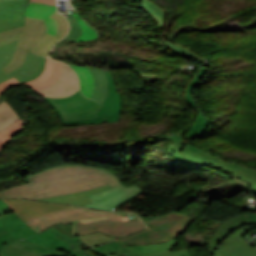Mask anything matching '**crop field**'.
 I'll list each match as a JSON object with an SVG mask.
<instances>
[{
	"mask_svg": "<svg viewBox=\"0 0 256 256\" xmlns=\"http://www.w3.org/2000/svg\"><path fill=\"white\" fill-rule=\"evenodd\" d=\"M82 241L88 246H96L100 245L102 243H105L109 240H112L110 237L100 234V233H94V234H86V235H81L79 236Z\"/></svg>",
	"mask_w": 256,
	"mask_h": 256,
	"instance_id": "32",
	"label": "crop field"
},
{
	"mask_svg": "<svg viewBox=\"0 0 256 256\" xmlns=\"http://www.w3.org/2000/svg\"><path fill=\"white\" fill-rule=\"evenodd\" d=\"M106 72V71H105ZM108 90L103 107L96 113L99 117L84 121H62L63 125H86L117 122L121 114V98L117 93L114 80L108 72Z\"/></svg>",
	"mask_w": 256,
	"mask_h": 256,
	"instance_id": "9",
	"label": "crop field"
},
{
	"mask_svg": "<svg viewBox=\"0 0 256 256\" xmlns=\"http://www.w3.org/2000/svg\"><path fill=\"white\" fill-rule=\"evenodd\" d=\"M141 192L143 191H141L136 185L127 188L120 184L107 191L90 195L93 203L83 206L111 210Z\"/></svg>",
	"mask_w": 256,
	"mask_h": 256,
	"instance_id": "10",
	"label": "crop field"
},
{
	"mask_svg": "<svg viewBox=\"0 0 256 256\" xmlns=\"http://www.w3.org/2000/svg\"><path fill=\"white\" fill-rule=\"evenodd\" d=\"M45 20L28 18L25 19L24 30L21 34L18 46L11 62L2 70L9 73L24 63L28 51L32 52L46 34Z\"/></svg>",
	"mask_w": 256,
	"mask_h": 256,
	"instance_id": "7",
	"label": "crop field"
},
{
	"mask_svg": "<svg viewBox=\"0 0 256 256\" xmlns=\"http://www.w3.org/2000/svg\"><path fill=\"white\" fill-rule=\"evenodd\" d=\"M184 132H176L177 135L169 136L168 141L170 144V152L176 156V158L181 159L180 149L186 143L185 139H183ZM185 161V160H182ZM186 162V161H185Z\"/></svg>",
	"mask_w": 256,
	"mask_h": 256,
	"instance_id": "30",
	"label": "crop field"
},
{
	"mask_svg": "<svg viewBox=\"0 0 256 256\" xmlns=\"http://www.w3.org/2000/svg\"><path fill=\"white\" fill-rule=\"evenodd\" d=\"M91 250L99 255L104 256H108L110 254L118 256H133L115 241L100 247L91 248Z\"/></svg>",
	"mask_w": 256,
	"mask_h": 256,
	"instance_id": "26",
	"label": "crop field"
},
{
	"mask_svg": "<svg viewBox=\"0 0 256 256\" xmlns=\"http://www.w3.org/2000/svg\"><path fill=\"white\" fill-rule=\"evenodd\" d=\"M207 71V68L203 67L198 71L195 76L192 78V80L187 85L186 89V99L188 102L197 110L198 112V118L196 119L195 123L193 124V127L191 128L188 139L190 138H196L200 136L204 130H206L207 120L203 117L201 111L198 109L197 105L193 101L192 97L189 95L191 93V90L196 84L198 83V79L202 77Z\"/></svg>",
	"mask_w": 256,
	"mask_h": 256,
	"instance_id": "19",
	"label": "crop field"
},
{
	"mask_svg": "<svg viewBox=\"0 0 256 256\" xmlns=\"http://www.w3.org/2000/svg\"><path fill=\"white\" fill-rule=\"evenodd\" d=\"M234 180L236 181V184L240 185L243 189H245L246 191L250 192V184H248L247 182H241L237 179L234 178Z\"/></svg>",
	"mask_w": 256,
	"mask_h": 256,
	"instance_id": "39",
	"label": "crop field"
},
{
	"mask_svg": "<svg viewBox=\"0 0 256 256\" xmlns=\"http://www.w3.org/2000/svg\"><path fill=\"white\" fill-rule=\"evenodd\" d=\"M25 17L0 20V32L22 27Z\"/></svg>",
	"mask_w": 256,
	"mask_h": 256,
	"instance_id": "34",
	"label": "crop field"
},
{
	"mask_svg": "<svg viewBox=\"0 0 256 256\" xmlns=\"http://www.w3.org/2000/svg\"><path fill=\"white\" fill-rule=\"evenodd\" d=\"M35 1H40V2H44V3H49V4L55 5V0H35Z\"/></svg>",
	"mask_w": 256,
	"mask_h": 256,
	"instance_id": "42",
	"label": "crop field"
},
{
	"mask_svg": "<svg viewBox=\"0 0 256 256\" xmlns=\"http://www.w3.org/2000/svg\"><path fill=\"white\" fill-rule=\"evenodd\" d=\"M176 238L177 236L162 244L132 245L125 247L136 256H184L189 253L188 250L178 252L171 251L173 245L177 244Z\"/></svg>",
	"mask_w": 256,
	"mask_h": 256,
	"instance_id": "16",
	"label": "crop field"
},
{
	"mask_svg": "<svg viewBox=\"0 0 256 256\" xmlns=\"http://www.w3.org/2000/svg\"><path fill=\"white\" fill-rule=\"evenodd\" d=\"M64 222H72L71 235L100 232L113 239L145 228L140 218L134 214L96 211L79 206L25 220L31 229L39 233L54 224Z\"/></svg>",
	"mask_w": 256,
	"mask_h": 256,
	"instance_id": "2",
	"label": "crop field"
},
{
	"mask_svg": "<svg viewBox=\"0 0 256 256\" xmlns=\"http://www.w3.org/2000/svg\"><path fill=\"white\" fill-rule=\"evenodd\" d=\"M23 220L45 215L54 211L71 207L65 204H47L24 199L4 200Z\"/></svg>",
	"mask_w": 256,
	"mask_h": 256,
	"instance_id": "13",
	"label": "crop field"
},
{
	"mask_svg": "<svg viewBox=\"0 0 256 256\" xmlns=\"http://www.w3.org/2000/svg\"><path fill=\"white\" fill-rule=\"evenodd\" d=\"M162 40H163L165 46L170 48L173 52H175L177 54H180V55H184V56H187L189 54V55H192L193 58H196L201 63L203 62V59L199 55L185 49L184 47H182L178 44L168 42V41L165 40V38H162Z\"/></svg>",
	"mask_w": 256,
	"mask_h": 256,
	"instance_id": "33",
	"label": "crop field"
},
{
	"mask_svg": "<svg viewBox=\"0 0 256 256\" xmlns=\"http://www.w3.org/2000/svg\"><path fill=\"white\" fill-rule=\"evenodd\" d=\"M44 63H45V57L40 56V63H39L38 68L35 70V72L33 74H31L30 76H28L22 80H19V82L20 83L26 82V81H30V80H33V79L39 77L44 68Z\"/></svg>",
	"mask_w": 256,
	"mask_h": 256,
	"instance_id": "36",
	"label": "crop field"
},
{
	"mask_svg": "<svg viewBox=\"0 0 256 256\" xmlns=\"http://www.w3.org/2000/svg\"><path fill=\"white\" fill-rule=\"evenodd\" d=\"M62 120H83L97 117L101 104L82 96L80 90L65 98H45Z\"/></svg>",
	"mask_w": 256,
	"mask_h": 256,
	"instance_id": "6",
	"label": "crop field"
},
{
	"mask_svg": "<svg viewBox=\"0 0 256 256\" xmlns=\"http://www.w3.org/2000/svg\"><path fill=\"white\" fill-rule=\"evenodd\" d=\"M82 28V35L79 37L78 41L93 40L100 37V33L95 28L91 27L84 19L79 21Z\"/></svg>",
	"mask_w": 256,
	"mask_h": 256,
	"instance_id": "31",
	"label": "crop field"
},
{
	"mask_svg": "<svg viewBox=\"0 0 256 256\" xmlns=\"http://www.w3.org/2000/svg\"><path fill=\"white\" fill-rule=\"evenodd\" d=\"M253 229L254 226L244 227L230 235L213 256H256V249L242 238Z\"/></svg>",
	"mask_w": 256,
	"mask_h": 256,
	"instance_id": "14",
	"label": "crop field"
},
{
	"mask_svg": "<svg viewBox=\"0 0 256 256\" xmlns=\"http://www.w3.org/2000/svg\"><path fill=\"white\" fill-rule=\"evenodd\" d=\"M18 40L10 42V43L0 47V83L11 78V77L16 78L17 80L24 78V77L30 75L31 73H33L34 70L36 69V67L38 66L39 56L29 52L27 59L21 68L15 70L9 74H7L1 70L11 60V58L14 54L15 48L17 46Z\"/></svg>",
	"mask_w": 256,
	"mask_h": 256,
	"instance_id": "12",
	"label": "crop field"
},
{
	"mask_svg": "<svg viewBox=\"0 0 256 256\" xmlns=\"http://www.w3.org/2000/svg\"><path fill=\"white\" fill-rule=\"evenodd\" d=\"M36 234L13 210L0 211V253L9 238L26 239Z\"/></svg>",
	"mask_w": 256,
	"mask_h": 256,
	"instance_id": "11",
	"label": "crop field"
},
{
	"mask_svg": "<svg viewBox=\"0 0 256 256\" xmlns=\"http://www.w3.org/2000/svg\"><path fill=\"white\" fill-rule=\"evenodd\" d=\"M186 256H191L190 254L186 255Z\"/></svg>",
	"mask_w": 256,
	"mask_h": 256,
	"instance_id": "44",
	"label": "crop field"
},
{
	"mask_svg": "<svg viewBox=\"0 0 256 256\" xmlns=\"http://www.w3.org/2000/svg\"><path fill=\"white\" fill-rule=\"evenodd\" d=\"M79 75L80 77V85L82 93L91 97L93 91V77L90 74V71L87 67L70 65Z\"/></svg>",
	"mask_w": 256,
	"mask_h": 256,
	"instance_id": "24",
	"label": "crop field"
},
{
	"mask_svg": "<svg viewBox=\"0 0 256 256\" xmlns=\"http://www.w3.org/2000/svg\"><path fill=\"white\" fill-rule=\"evenodd\" d=\"M110 188L109 185L102 186L93 190L89 191H84L80 193H73V194H67L59 197H54V198H48V199H43L41 201H46V202H61V203H68V204H76V205H82V204H87L91 203V200L88 195L103 191Z\"/></svg>",
	"mask_w": 256,
	"mask_h": 256,
	"instance_id": "21",
	"label": "crop field"
},
{
	"mask_svg": "<svg viewBox=\"0 0 256 256\" xmlns=\"http://www.w3.org/2000/svg\"><path fill=\"white\" fill-rule=\"evenodd\" d=\"M245 224H256V213L231 218L225 221L208 241L210 253L229 232Z\"/></svg>",
	"mask_w": 256,
	"mask_h": 256,
	"instance_id": "17",
	"label": "crop field"
},
{
	"mask_svg": "<svg viewBox=\"0 0 256 256\" xmlns=\"http://www.w3.org/2000/svg\"><path fill=\"white\" fill-rule=\"evenodd\" d=\"M9 206L2 200H0V210L8 209Z\"/></svg>",
	"mask_w": 256,
	"mask_h": 256,
	"instance_id": "41",
	"label": "crop field"
},
{
	"mask_svg": "<svg viewBox=\"0 0 256 256\" xmlns=\"http://www.w3.org/2000/svg\"><path fill=\"white\" fill-rule=\"evenodd\" d=\"M50 69H51L50 62H49V59L47 58L46 59V64H45V69H44L42 75L38 79L30 81V82H26L24 84L27 85V84L37 83L39 81L45 80L49 76V74H50ZM19 84L20 83L17 80H15L14 78L9 79V80L3 82L2 84H0V94L3 95L4 92L8 88H10L11 86L19 85Z\"/></svg>",
	"mask_w": 256,
	"mask_h": 256,
	"instance_id": "29",
	"label": "crop field"
},
{
	"mask_svg": "<svg viewBox=\"0 0 256 256\" xmlns=\"http://www.w3.org/2000/svg\"><path fill=\"white\" fill-rule=\"evenodd\" d=\"M3 100H4L3 97L0 95V103H1Z\"/></svg>",
	"mask_w": 256,
	"mask_h": 256,
	"instance_id": "43",
	"label": "crop field"
},
{
	"mask_svg": "<svg viewBox=\"0 0 256 256\" xmlns=\"http://www.w3.org/2000/svg\"><path fill=\"white\" fill-rule=\"evenodd\" d=\"M71 223L57 224L39 235L26 239L44 248L67 252L73 256H89L80 244H84L78 236H70ZM41 240V242L37 241Z\"/></svg>",
	"mask_w": 256,
	"mask_h": 256,
	"instance_id": "5",
	"label": "crop field"
},
{
	"mask_svg": "<svg viewBox=\"0 0 256 256\" xmlns=\"http://www.w3.org/2000/svg\"><path fill=\"white\" fill-rule=\"evenodd\" d=\"M71 28L66 37L63 39H68V40H76L78 37L81 35V28L76 20L69 21Z\"/></svg>",
	"mask_w": 256,
	"mask_h": 256,
	"instance_id": "35",
	"label": "crop field"
},
{
	"mask_svg": "<svg viewBox=\"0 0 256 256\" xmlns=\"http://www.w3.org/2000/svg\"><path fill=\"white\" fill-rule=\"evenodd\" d=\"M199 149V148H198ZM191 145H186L183 149V153L187 160L196 163H209L221 170L231 173L235 176H239L252 183L253 192L256 193V170L248 167H243L235 164L228 163L215 156L210 155L207 152L198 150Z\"/></svg>",
	"mask_w": 256,
	"mask_h": 256,
	"instance_id": "8",
	"label": "crop field"
},
{
	"mask_svg": "<svg viewBox=\"0 0 256 256\" xmlns=\"http://www.w3.org/2000/svg\"><path fill=\"white\" fill-rule=\"evenodd\" d=\"M24 129V125L20 120L7 127L0 132V153L4 149L5 145L8 143L6 140Z\"/></svg>",
	"mask_w": 256,
	"mask_h": 256,
	"instance_id": "28",
	"label": "crop field"
},
{
	"mask_svg": "<svg viewBox=\"0 0 256 256\" xmlns=\"http://www.w3.org/2000/svg\"><path fill=\"white\" fill-rule=\"evenodd\" d=\"M50 17H52L58 23V31L55 36L46 34V36L34 49L33 53H38L44 56H48V52L52 47V45L58 40H60L61 38H63L69 30L68 23L62 15H60L55 11Z\"/></svg>",
	"mask_w": 256,
	"mask_h": 256,
	"instance_id": "18",
	"label": "crop field"
},
{
	"mask_svg": "<svg viewBox=\"0 0 256 256\" xmlns=\"http://www.w3.org/2000/svg\"><path fill=\"white\" fill-rule=\"evenodd\" d=\"M18 119V116L6 101L0 104V131Z\"/></svg>",
	"mask_w": 256,
	"mask_h": 256,
	"instance_id": "27",
	"label": "crop field"
},
{
	"mask_svg": "<svg viewBox=\"0 0 256 256\" xmlns=\"http://www.w3.org/2000/svg\"><path fill=\"white\" fill-rule=\"evenodd\" d=\"M142 8L146 11L149 15L156 20L159 27L164 29L166 24V17L164 11L156 4L152 3L149 0H142Z\"/></svg>",
	"mask_w": 256,
	"mask_h": 256,
	"instance_id": "25",
	"label": "crop field"
},
{
	"mask_svg": "<svg viewBox=\"0 0 256 256\" xmlns=\"http://www.w3.org/2000/svg\"><path fill=\"white\" fill-rule=\"evenodd\" d=\"M55 10L56 6L29 0L26 16L46 19L47 33L55 35L57 24L49 17Z\"/></svg>",
	"mask_w": 256,
	"mask_h": 256,
	"instance_id": "20",
	"label": "crop field"
},
{
	"mask_svg": "<svg viewBox=\"0 0 256 256\" xmlns=\"http://www.w3.org/2000/svg\"><path fill=\"white\" fill-rule=\"evenodd\" d=\"M94 77V91L92 99L103 104L106 90H107V77L103 70L89 68Z\"/></svg>",
	"mask_w": 256,
	"mask_h": 256,
	"instance_id": "23",
	"label": "crop field"
},
{
	"mask_svg": "<svg viewBox=\"0 0 256 256\" xmlns=\"http://www.w3.org/2000/svg\"><path fill=\"white\" fill-rule=\"evenodd\" d=\"M28 0L0 1V19L25 16Z\"/></svg>",
	"mask_w": 256,
	"mask_h": 256,
	"instance_id": "22",
	"label": "crop field"
},
{
	"mask_svg": "<svg viewBox=\"0 0 256 256\" xmlns=\"http://www.w3.org/2000/svg\"><path fill=\"white\" fill-rule=\"evenodd\" d=\"M30 183L0 191V198L43 199L67 193L120 184L111 172L96 167L64 165L27 177Z\"/></svg>",
	"mask_w": 256,
	"mask_h": 256,
	"instance_id": "1",
	"label": "crop field"
},
{
	"mask_svg": "<svg viewBox=\"0 0 256 256\" xmlns=\"http://www.w3.org/2000/svg\"><path fill=\"white\" fill-rule=\"evenodd\" d=\"M194 219L179 212H172L154 219L146 220L147 229L128 237L117 239L123 245L161 243L184 233Z\"/></svg>",
	"mask_w": 256,
	"mask_h": 256,
	"instance_id": "3",
	"label": "crop field"
},
{
	"mask_svg": "<svg viewBox=\"0 0 256 256\" xmlns=\"http://www.w3.org/2000/svg\"><path fill=\"white\" fill-rule=\"evenodd\" d=\"M51 75L43 82L27 85L43 97H65L79 89L76 73L66 64L52 60Z\"/></svg>",
	"mask_w": 256,
	"mask_h": 256,
	"instance_id": "4",
	"label": "crop field"
},
{
	"mask_svg": "<svg viewBox=\"0 0 256 256\" xmlns=\"http://www.w3.org/2000/svg\"><path fill=\"white\" fill-rule=\"evenodd\" d=\"M49 254V255H48ZM0 256H69L61 252L50 251L24 240L7 242Z\"/></svg>",
	"mask_w": 256,
	"mask_h": 256,
	"instance_id": "15",
	"label": "crop field"
},
{
	"mask_svg": "<svg viewBox=\"0 0 256 256\" xmlns=\"http://www.w3.org/2000/svg\"><path fill=\"white\" fill-rule=\"evenodd\" d=\"M68 20H71V19H83L81 14L79 12H68V13H64L63 14Z\"/></svg>",
	"mask_w": 256,
	"mask_h": 256,
	"instance_id": "38",
	"label": "crop field"
},
{
	"mask_svg": "<svg viewBox=\"0 0 256 256\" xmlns=\"http://www.w3.org/2000/svg\"><path fill=\"white\" fill-rule=\"evenodd\" d=\"M19 37H20V34L17 35V36L12 37V38H10V39H8V40H6V41H3V42L0 43V46L4 45V44H6V43H8V42H10V41H13V40H15V39H18Z\"/></svg>",
	"mask_w": 256,
	"mask_h": 256,
	"instance_id": "40",
	"label": "crop field"
},
{
	"mask_svg": "<svg viewBox=\"0 0 256 256\" xmlns=\"http://www.w3.org/2000/svg\"><path fill=\"white\" fill-rule=\"evenodd\" d=\"M22 29L23 27L0 33V42L20 33Z\"/></svg>",
	"mask_w": 256,
	"mask_h": 256,
	"instance_id": "37",
	"label": "crop field"
}]
</instances>
